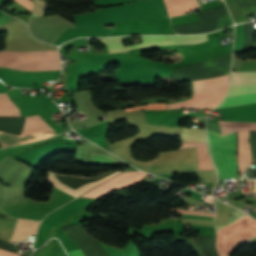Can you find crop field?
Wrapping results in <instances>:
<instances>
[{
	"label": "crop field",
	"instance_id": "crop-field-11",
	"mask_svg": "<svg viewBox=\"0 0 256 256\" xmlns=\"http://www.w3.org/2000/svg\"><path fill=\"white\" fill-rule=\"evenodd\" d=\"M146 175H147L146 173H139V172H129V173L120 174L117 177L113 178L112 180L101 185L100 187L82 196L101 198L103 195L115 189H122L138 183Z\"/></svg>",
	"mask_w": 256,
	"mask_h": 256
},
{
	"label": "crop field",
	"instance_id": "crop-field-16",
	"mask_svg": "<svg viewBox=\"0 0 256 256\" xmlns=\"http://www.w3.org/2000/svg\"><path fill=\"white\" fill-rule=\"evenodd\" d=\"M90 162L120 164L117 159L109 155L99 153H92Z\"/></svg>",
	"mask_w": 256,
	"mask_h": 256
},
{
	"label": "crop field",
	"instance_id": "crop-field-10",
	"mask_svg": "<svg viewBox=\"0 0 256 256\" xmlns=\"http://www.w3.org/2000/svg\"><path fill=\"white\" fill-rule=\"evenodd\" d=\"M182 141L207 142L204 129L184 128L181 133ZM180 148L197 147L198 169H215L207 153L206 143H182Z\"/></svg>",
	"mask_w": 256,
	"mask_h": 256
},
{
	"label": "crop field",
	"instance_id": "crop-field-1",
	"mask_svg": "<svg viewBox=\"0 0 256 256\" xmlns=\"http://www.w3.org/2000/svg\"><path fill=\"white\" fill-rule=\"evenodd\" d=\"M221 128V134L244 130H256V123L245 122H225L218 121ZM208 131L209 144L213 161L217 167L221 179L233 178L239 179L235 163V133L220 135Z\"/></svg>",
	"mask_w": 256,
	"mask_h": 256
},
{
	"label": "crop field",
	"instance_id": "crop-field-12",
	"mask_svg": "<svg viewBox=\"0 0 256 256\" xmlns=\"http://www.w3.org/2000/svg\"><path fill=\"white\" fill-rule=\"evenodd\" d=\"M248 131L238 132V164L240 169V176H242L246 167L252 163L250 156V147L248 143Z\"/></svg>",
	"mask_w": 256,
	"mask_h": 256
},
{
	"label": "crop field",
	"instance_id": "crop-field-6",
	"mask_svg": "<svg viewBox=\"0 0 256 256\" xmlns=\"http://www.w3.org/2000/svg\"><path fill=\"white\" fill-rule=\"evenodd\" d=\"M231 52L221 54L210 60L177 67L173 73L174 81H192L209 77H217L229 73Z\"/></svg>",
	"mask_w": 256,
	"mask_h": 256
},
{
	"label": "crop field",
	"instance_id": "crop-field-9",
	"mask_svg": "<svg viewBox=\"0 0 256 256\" xmlns=\"http://www.w3.org/2000/svg\"><path fill=\"white\" fill-rule=\"evenodd\" d=\"M57 134L51 126L46 123L41 117H27L21 135L46 138ZM0 132V144L2 146H13L23 143L39 140V138H31Z\"/></svg>",
	"mask_w": 256,
	"mask_h": 256
},
{
	"label": "crop field",
	"instance_id": "crop-field-14",
	"mask_svg": "<svg viewBox=\"0 0 256 256\" xmlns=\"http://www.w3.org/2000/svg\"><path fill=\"white\" fill-rule=\"evenodd\" d=\"M39 222L28 220H17L16 228L10 242H18L20 240L28 239L29 235L36 232Z\"/></svg>",
	"mask_w": 256,
	"mask_h": 256
},
{
	"label": "crop field",
	"instance_id": "crop-field-7",
	"mask_svg": "<svg viewBox=\"0 0 256 256\" xmlns=\"http://www.w3.org/2000/svg\"><path fill=\"white\" fill-rule=\"evenodd\" d=\"M251 92H256V73H233L226 96ZM254 104H256V93L228 96L224 98L217 109Z\"/></svg>",
	"mask_w": 256,
	"mask_h": 256
},
{
	"label": "crop field",
	"instance_id": "crop-field-19",
	"mask_svg": "<svg viewBox=\"0 0 256 256\" xmlns=\"http://www.w3.org/2000/svg\"><path fill=\"white\" fill-rule=\"evenodd\" d=\"M15 1L18 2L19 4H21L22 6H24L30 12L32 11V9L34 7V2L31 0H15Z\"/></svg>",
	"mask_w": 256,
	"mask_h": 256
},
{
	"label": "crop field",
	"instance_id": "crop-field-3",
	"mask_svg": "<svg viewBox=\"0 0 256 256\" xmlns=\"http://www.w3.org/2000/svg\"><path fill=\"white\" fill-rule=\"evenodd\" d=\"M236 209L228 224L245 216ZM224 226H215L216 231ZM256 236V221L248 215L217 231V249L220 256H227L233 249Z\"/></svg>",
	"mask_w": 256,
	"mask_h": 256
},
{
	"label": "crop field",
	"instance_id": "crop-field-21",
	"mask_svg": "<svg viewBox=\"0 0 256 256\" xmlns=\"http://www.w3.org/2000/svg\"><path fill=\"white\" fill-rule=\"evenodd\" d=\"M70 254H71L72 256H84V254L81 252L80 249L74 250V251H70Z\"/></svg>",
	"mask_w": 256,
	"mask_h": 256
},
{
	"label": "crop field",
	"instance_id": "crop-field-13",
	"mask_svg": "<svg viewBox=\"0 0 256 256\" xmlns=\"http://www.w3.org/2000/svg\"><path fill=\"white\" fill-rule=\"evenodd\" d=\"M170 16L188 13L198 7L197 0H164Z\"/></svg>",
	"mask_w": 256,
	"mask_h": 256
},
{
	"label": "crop field",
	"instance_id": "crop-field-4",
	"mask_svg": "<svg viewBox=\"0 0 256 256\" xmlns=\"http://www.w3.org/2000/svg\"><path fill=\"white\" fill-rule=\"evenodd\" d=\"M0 67L26 71L61 70L57 50L33 52L0 51Z\"/></svg>",
	"mask_w": 256,
	"mask_h": 256
},
{
	"label": "crop field",
	"instance_id": "crop-field-15",
	"mask_svg": "<svg viewBox=\"0 0 256 256\" xmlns=\"http://www.w3.org/2000/svg\"><path fill=\"white\" fill-rule=\"evenodd\" d=\"M0 116L20 117L19 109L8 99L6 94H0Z\"/></svg>",
	"mask_w": 256,
	"mask_h": 256
},
{
	"label": "crop field",
	"instance_id": "crop-field-2",
	"mask_svg": "<svg viewBox=\"0 0 256 256\" xmlns=\"http://www.w3.org/2000/svg\"><path fill=\"white\" fill-rule=\"evenodd\" d=\"M163 5H165L163 0H141V1L133 2V3H129V4L113 7V8L101 9L96 12H91V13H86L81 15H73V17L77 20V23H78V22L113 16V15L163 6ZM149 16H168L166 7L163 6V7L123 14V15H118V16H113V17H108V18H103V19H98V20H93V21H88L83 23H78L75 25L76 27L104 26L108 24L127 21L134 18L149 17Z\"/></svg>",
	"mask_w": 256,
	"mask_h": 256
},
{
	"label": "crop field",
	"instance_id": "crop-field-17",
	"mask_svg": "<svg viewBox=\"0 0 256 256\" xmlns=\"http://www.w3.org/2000/svg\"><path fill=\"white\" fill-rule=\"evenodd\" d=\"M35 5H36V8L32 14L33 17H36V16H42L44 15V8L46 6V2L42 1V0H35Z\"/></svg>",
	"mask_w": 256,
	"mask_h": 256
},
{
	"label": "crop field",
	"instance_id": "crop-field-18",
	"mask_svg": "<svg viewBox=\"0 0 256 256\" xmlns=\"http://www.w3.org/2000/svg\"><path fill=\"white\" fill-rule=\"evenodd\" d=\"M172 211H179L182 214H195V215H204L214 217L215 213H206V212H196V211H187V210H179V209H171Z\"/></svg>",
	"mask_w": 256,
	"mask_h": 256
},
{
	"label": "crop field",
	"instance_id": "crop-field-8",
	"mask_svg": "<svg viewBox=\"0 0 256 256\" xmlns=\"http://www.w3.org/2000/svg\"><path fill=\"white\" fill-rule=\"evenodd\" d=\"M142 43L133 46L124 47L122 44L123 38H102L99 39L102 43L107 44L109 53H119L128 51L137 47H149L154 45L166 44H198L207 40L206 34L196 36H141Z\"/></svg>",
	"mask_w": 256,
	"mask_h": 256
},
{
	"label": "crop field",
	"instance_id": "crop-field-20",
	"mask_svg": "<svg viewBox=\"0 0 256 256\" xmlns=\"http://www.w3.org/2000/svg\"><path fill=\"white\" fill-rule=\"evenodd\" d=\"M0 256H17V253H13L7 250L0 249Z\"/></svg>",
	"mask_w": 256,
	"mask_h": 256
},
{
	"label": "crop field",
	"instance_id": "crop-field-5",
	"mask_svg": "<svg viewBox=\"0 0 256 256\" xmlns=\"http://www.w3.org/2000/svg\"><path fill=\"white\" fill-rule=\"evenodd\" d=\"M229 75L214 79L194 81L192 99L167 105V109L179 107H215L226 91Z\"/></svg>",
	"mask_w": 256,
	"mask_h": 256
}]
</instances>
